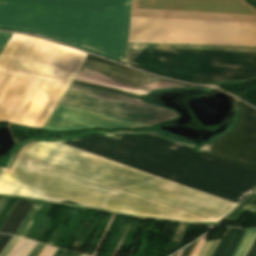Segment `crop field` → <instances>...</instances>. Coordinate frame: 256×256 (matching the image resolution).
I'll use <instances>...</instances> for the list:
<instances>
[{
	"instance_id": "obj_2",
	"label": "crop field",
	"mask_w": 256,
	"mask_h": 256,
	"mask_svg": "<svg viewBox=\"0 0 256 256\" xmlns=\"http://www.w3.org/2000/svg\"><path fill=\"white\" fill-rule=\"evenodd\" d=\"M245 229L227 228L212 256H231Z\"/></svg>"
},
{
	"instance_id": "obj_16",
	"label": "crop field",
	"mask_w": 256,
	"mask_h": 256,
	"mask_svg": "<svg viewBox=\"0 0 256 256\" xmlns=\"http://www.w3.org/2000/svg\"><path fill=\"white\" fill-rule=\"evenodd\" d=\"M7 201H8V199H6V198H2V200L0 201V212L3 209V207L5 206Z\"/></svg>"
},
{
	"instance_id": "obj_19",
	"label": "crop field",
	"mask_w": 256,
	"mask_h": 256,
	"mask_svg": "<svg viewBox=\"0 0 256 256\" xmlns=\"http://www.w3.org/2000/svg\"><path fill=\"white\" fill-rule=\"evenodd\" d=\"M182 251H183V250H182ZM182 251H180V252H179L178 256H180V255H181Z\"/></svg>"
},
{
	"instance_id": "obj_6",
	"label": "crop field",
	"mask_w": 256,
	"mask_h": 256,
	"mask_svg": "<svg viewBox=\"0 0 256 256\" xmlns=\"http://www.w3.org/2000/svg\"><path fill=\"white\" fill-rule=\"evenodd\" d=\"M19 239L20 237L13 236V238L1 252L0 256H7Z\"/></svg>"
},
{
	"instance_id": "obj_1",
	"label": "crop field",
	"mask_w": 256,
	"mask_h": 256,
	"mask_svg": "<svg viewBox=\"0 0 256 256\" xmlns=\"http://www.w3.org/2000/svg\"><path fill=\"white\" fill-rule=\"evenodd\" d=\"M32 205L33 203L31 202L18 200L8 218L2 225L0 232L15 234Z\"/></svg>"
},
{
	"instance_id": "obj_17",
	"label": "crop field",
	"mask_w": 256,
	"mask_h": 256,
	"mask_svg": "<svg viewBox=\"0 0 256 256\" xmlns=\"http://www.w3.org/2000/svg\"><path fill=\"white\" fill-rule=\"evenodd\" d=\"M191 246H192V245H190L189 247L185 248V250H184V252L182 253L181 256H187V254H188V252H189Z\"/></svg>"
},
{
	"instance_id": "obj_9",
	"label": "crop field",
	"mask_w": 256,
	"mask_h": 256,
	"mask_svg": "<svg viewBox=\"0 0 256 256\" xmlns=\"http://www.w3.org/2000/svg\"><path fill=\"white\" fill-rule=\"evenodd\" d=\"M35 245H36V242L29 240V242L26 244V246L23 248V250L18 256H28V254L30 253V251L33 249Z\"/></svg>"
},
{
	"instance_id": "obj_21",
	"label": "crop field",
	"mask_w": 256,
	"mask_h": 256,
	"mask_svg": "<svg viewBox=\"0 0 256 256\" xmlns=\"http://www.w3.org/2000/svg\"><path fill=\"white\" fill-rule=\"evenodd\" d=\"M0 200H1V198H0Z\"/></svg>"
},
{
	"instance_id": "obj_12",
	"label": "crop field",
	"mask_w": 256,
	"mask_h": 256,
	"mask_svg": "<svg viewBox=\"0 0 256 256\" xmlns=\"http://www.w3.org/2000/svg\"><path fill=\"white\" fill-rule=\"evenodd\" d=\"M11 238L12 236L0 234V252L3 250V248L6 246Z\"/></svg>"
},
{
	"instance_id": "obj_18",
	"label": "crop field",
	"mask_w": 256,
	"mask_h": 256,
	"mask_svg": "<svg viewBox=\"0 0 256 256\" xmlns=\"http://www.w3.org/2000/svg\"><path fill=\"white\" fill-rule=\"evenodd\" d=\"M197 241H198V240H197ZM197 241H195V243H194V245H193L191 251L193 250V248H194L195 244L197 243ZM191 251L189 252L188 256L190 255Z\"/></svg>"
},
{
	"instance_id": "obj_10",
	"label": "crop field",
	"mask_w": 256,
	"mask_h": 256,
	"mask_svg": "<svg viewBox=\"0 0 256 256\" xmlns=\"http://www.w3.org/2000/svg\"><path fill=\"white\" fill-rule=\"evenodd\" d=\"M53 256H81L80 253H74L67 250L57 249Z\"/></svg>"
},
{
	"instance_id": "obj_3",
	"label": "crop field",
	"mask_w": 256,
	"mask_h": 256,
	"mask_svg": "<svg viewBox=\"0 0 256 256\" xmlns=\"http://www.w3.org/2000/svg\"><path fill=\"white\" fill-rule=\"evenodd\" d=\"M256 236V229H246L241 241L233 252L232 256H245L249 250L254 238Z\"/></svg>"
},
{
	"instance_id": "obj_4",
	"label": "crop field",
	"mask_w": 256,
	"mask_h": 256,
	"mask_svg": "<svg viewBox=\"0 0 256 256\" xmlns=\"http://www.w3.org/2000/svg\"><path fill=\"white\" fill-rule=\"evenodd\" d=\"M42 205L43 204H40V203H34L33 207L31 208L28 215L24 219V221L21 224V226L19 227L18 231L16 232L17 235L24 237L25 233L27 232L28 228L30 227V225L32 223L31 219L33 218L35 211L41 209Z\"/></svg>"
},
{
	"instance_id": "obj_5",
	"label": "crop field",
	"mask_w": 256,
	"mask_h": 256,
	"mask_svg": "<svg viewBox=\"0 0 256 256\" xmlns=\"http://www.w3.org/2000/svg\"><path fill=\"white\" fill-rule=\"evenodd\" d=\"M16 202L17 200H14V199H9V201L7 202L6 206L0 213V227L5 221V219L7 218L8 214L10 213V211L12 210Z\"/></svg>"
},
{
	"instance_id": "obj_8",
	"label": "crop field",
	"mask_w": 256,
	"mask_h": 256,
	"mask_svg": "<svg viewBox=\"0 0 256 256\" xmlns=\"http://www.w3.org/2000/svg\"><path fill=\"white\" fill-rule=\"evenodd\" d=\"M209 233L205 235L204 237L200 238L198 243L196 244L194 250L192 251L190 256H197L199 251L201 250L202 246L204 245Z\"/></svg>"
},
{
	"instance_id": "obj_20",
	"label": "crop field",
	"mask_w": 256,
	"mask_h": 256,
	"mask_svg": "<svg viewBox=\"0 0 256 256\" xmlns=\"http://www.w3.org/2000/svg\"><path fill=\"white\" fill-rule=\"evenodd\" d=\"M82 256H87V255L82 254Z\"/></svg>"
},
{
	"instance_id": "obj_15",
	"label": "crop field",
	"mask_w": 256,
	"mask_h": 256,
	"mask_svg": "<svg viewBox=\"0 0 256 256\" xmlns=\"http://www.w3.org/2000/svg\"><path fill=\"white\" fill-rule=\"evenodd\" d=\"M246 256H256V239Z\"/></svg>"
},
{
	"instance_id": "obj_11",
	"label": "crop field",
	"mask_w": 256,
	"mask_h": 256,
	"mask_svg": "<svg viewBox=\"0 0 256 256\" xmlns=\"http://www.w3.org/2000/svg\"><path fill=\"white\" fill-rule=\"evenodd\" d=\"M55 251L56 248L45 245V247L42 249L38 256H52Z\"/></svg>"
},
{
	"instance_id": "obj_14",
	"label": "crop field",
	"mask_w": 256,
	"mask_h": 256,
	"mask_svg": "<svg viewBox=\"0 0 256 256\" xmlns=\"http://www.w3.org/2000/svg\"><path fill=\"white\" fill-rule=\"evenodd\" d=\"M220 238L219 239H215L213 240L208 252L206 253L205 256H211V254L213 253L215 247L217 246L218 242H219Z\"/></svg>"
},
{
	"instance_id": "obj_13",
	"label": "crop field",
	"mask_w": 256,
	"mask_h": 256,
	"mask_svg": "<svg viewBox=\"0 0 256 256\" xmlns=\"http://www.w3.org/2000/svg\"><path fill=\"white\" fill-rule=\"evenodd\" d=\"M44 247L43 244L37 243V245L34 247V249L31 251L29 256H37L38 253L41 251V249Z\"/></svg>"
},
{
	"instance_id": "obj_7",
	"label": "crop field",
	"mask_w": 256,
	"mask_h": 256,
	"mask_svg": "<svg viewBox=\"0 0 256 256\" xmlns=\"http://www.w3.org/2000/svg\"><path fill=\"white\" fill-rule=\"evenodd\" d=\"M27 242H28V239L21 238V240L18 242V244L15 246V248L9 254V256H17Z\"/></svg>"
}]
</instances>
